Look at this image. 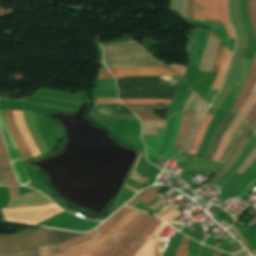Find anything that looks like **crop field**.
Masks as SVG:
<instances>
[{"label":"crop field","mask_w":256,"mask_h":256,"mask_svg":"<svg viewBox=\"0 0 256 256\" xmlns=\"http://www.w3.org/2000/svg\"><path fill=\"white\" fill-rule=\"evenodd\" d=\"M82 234L47 230L0 236V256H37L36 248L56 244Z\"/></svg>","instance_id":"1"},{"label":"crop field","mask_w":256,"mask_h":256,"mask_svg":"<svg viewBox=\"0 0 256 256\" xmlns=\"http://www.w3.org/2000/svg\"><path fill=\"white\" fill-rule=\"evenodd\" d=\"M101 47L104 51V63L107 68L163 64L151 57L144 48L134 41Z\"/></svg>","instance_id":"2"},{"label":"crop field","mask_w":256,"mask_h":256,"mask_svg":"<svg viewBox=\"0 0 256 256\" xmlns=\"http://www.w3.org/2000/svg\"><path fill=\"white\" fill-rule=\"evenodd\" d=\"M182 114L176 112L175 115L169 116L164 131L157 130L158 137L142 136V140L146 145V156L153 155L157 158L169 160L176 153L173 146Z\"/></svg>","instance_id":"3"},{"label":"crop field","mask_w":256,"mask_h":256,"mask_svg":"<svg viewBox=\"0 0 256 256\" xmlns=\"http://www.w3.org/2000/svg\"><path fill=\"white\" fill-rule=\"evenodd\" d=\"M192 10L193 0H186V18L192 19ZM203 17L224 22L223 24L204 18L208 22L223 24L228 36L235 38L227 17L226 0H194L193 19L203 20Z\"/></svg>","instance_id":"4"},{"label":"crop field","mask_w":256,"mask_h":256,"mask_svg":"<svg viewBox=\"0 0 256 256\" xmlns=\"http://www.w3.org/2000/svg\"><path fill=\"white\" fill-rule=\"evenodd\" d=\"M5 220L37 224L63 210L59 209L55 203L45 206L1 209Z\"/></svg>","instance_id":"5"},{"label":"crop field","mask_w":256,"mask_h":256,"mask_svg":"<svg viewBox=\"0 0 256 256\" xmlns=\"http://www.w3.org/2000/svg\"><path fill=\"white\" fill-rule=\"evenodd\" d=\"M140 211L132 209L129 211L122 219H120L108 232H106L104 235H101L99 238H97L94 241L88 242L84 245L77 246L73 249L68 250L69 256H81L84 255L109 238H111L113 235H115L119 230H121L126 224H128L136 215H138Z\"/></svg>","instance_id":"6"},{"label":"crop field","mask_w":256,"mask_h":256,"mask_svg":"<svg viewBox=\"0 0 256 256\" xmlns=\"http://www.w3.org/2000/svg\"><path fill=\"white\" fill-rule=\"evenodd\" d=\"M109 70L115 76V78L124 77V76H147V75L179 76L177 73H175L166 65L140 67V68H131V67L113 68Z\"/></svg>","instance_id":"7"},{"label":"crop field","mask_w":256,"mask_h":256,"mask_svg":"<svg viewBox=\"0 0 256 256\" xmlns=\"http://www.w3.org/2000/svg\"><path fill=\"white\" fill-rule=\"evenodd\" d=\"M148 214L141 212L135 219H133L127 226H125L116 236L109 239L90 253L84 256H101L112 246L122 240L142 219H144Z\"/></svg>","instance_id":"8"},{"label":"crop field","mask_w":256,"mask_h":256,"mask_svg":"<svg viewBox=\"0 0 256 256\" xmlns=\"http://www.w3.org/2000/svg\"><path fill=\"white\" fill-rule=\"evenodd\" d=\"M158 218H155L152 223L135 239L133 240L125 249L119 252L116 256H134L144 242L148 239L150 234L155 230V228L161 223Z\"/></svg>","instance_id":"9"},{"label":"crop field","mask_w":256,"mask_h":256,"mask_svg":"<svg viewBox=\"0 0 256 256\" xmlns=\"http://www.w3.org/2000/svg\"><path fill=\"white\" fill-rule=\"evenodd\" d=\"M155 217L148 215L142 220L122 241L116 244L109 252L102 256H115L120 250L128 245L134 238H136L154 219Z\"/></svg>","instance_id":"10"},{"label":"crop field","mask_w":256,"mask_h":256,"mask_svg":"<svg viewBox=\"0 0 256 256\" xmlns=\"http://www.w3.org/2000/svg\"><path fill=\"white\" fill-rule=\"evenodd\" d=\"M256 80V54L252 60L251 69L249 76L247 77L237 99L235 100L234 104L231 107V110L238 113L243 101L247 97L248 93L250 92L254 82Z\"/></svg>","instance_id":"11"},{"label":"crop field","mask_w":256,"mask_h":256,"mask_svg":"<svg viewBox=\"0 0 256 256\" xmlns=\"http://www.w3.org/2000/svg\"><path fill=\"white\" fill-rule=\"evenodd\" d=\"M16 126L32 156L39 155V152L28 132L25 121L20 111H12Z\"/></svg>","instance_id":"12"},{"label":"crop field","mask_w":256,"mask_h":256,"mask_svg":"<svg viewBox=\"0 0 256 256\" xmlns=\"http://www.w3.org/2000/svg\"><path fill=\"white\" fill-rule=\"evenodd\" d=\"M255 146H256V135L254 134V136L252 137L250 142L247 144V146L244 148L243 152L241 153L239 158L236 160L234 165L223 175V177L218 181V183L214 187L219 189L237 171V169L248 157V155L255 148Z\"/></svg>","instance_id":"13"},{"label":"crop field","mask_w":256,"mask_h":256,"mask_svg":"<svg viewBox=\"0 0 256 256\" xmlns=\"http://www.w3.org/2000/svg\"><path fill=\"white\" fill-rule=\"evenodd\" d=\"M235 116L236 115L233 112H229V114L222 120V122L220 123L218 129L216 130V132L210 142V145L207 149L206 155L204 156L205 159L211 160V158L219 144V141L223 135L224 130L227 129V127L230 125V123L235 118Z\"/></svg>","instance_id":"14"},{"label":"crop field","mask_w":256,"mask_h":256,"mask_svg":"<svg viewBox=\"0 0 256 256\" xmlns=\"http://www.w3.org/2000/svg\"><path fill=\"white\" fill-rule=\"evenodd\" d=\"M209 36L219 40L213 33L210 32ZM209 37L208 43L206 45L205 51L203 53L202 61H201V66L199 70H205L209 71L211 70V66L214 60V56L217 50V46L219 41Z\"/></svg>","instance_id":"15"},{"label":"crop field","mask_w":256,"mask_h":256,"mask_svg":"<svg viewBox=\"0 0 256 256\" xmlns=\"http://www.w3.org/2000/svg\"><path fill=\"white\" fill-rule=\"evenodd\" d=\"M253 132L248 128V130L244 133V135L241 138V141L235 150L232 158L230 161L221 169V171L208 183V185L213 186L216 184V182L220 179V177L230 168V166L235 162V160L240 155L241 151L245 147V145L248 143V141L253 136Z\"/></svg>","instance_id":"16"},{"label":"crop field","mask_w":256,"mask_h":256,"mask_svg":"<svg viewBox=\"0 0 256 256\" xmlns=\"http://www.w3.org/2000/svg\"><path fill=\"white\" fill-rule=\"evenodd\" d=\"M4 113H5V118H6V122L8 124L9 130H10L11 135L17 145V148H18L21 158L23 159V158L31 157L22 138L20 137L19 133L17 132V130L15 128L10 110H4Z\"/></svg>","instance_id":"17"},{"label":"crop field","mask_w":256,"mask_h":256,"mask_svg":"<svg viewBox=\"0 0 256 256\" xmlns=\"http://www.w3.org/2000/svg\"><path fill=\"white\" fill-rule=\"evenodd\" d=\"M0 128H1V132H2L3 138L5 140L7 150H8L11 160L13 161V160L20 159L18 152H17V148L13 142V139L10 135L7 124L5 122L3 111H0Z\"/></svg>","instance_id":"18"},{"label":"crop field","mask_w":256,"mask_h":256,"mask_svg":"<svg viewBox=\"0 0 256 256\" xmlns=\"http://www.w3.org/2000/svg\"><path fill=\"white\" fill-rule=\"evenodd\" d=\"M167 225L162 222L135 256H151L158 237Z\"/></svg>","instance_id":"19"},{"label":"crop field","mask_w":256,"mask_h":256,"mask_svg":"<svg viewBox=\"0 0 256 256\" xmlns=\"http://www.w3.org/2000/svg\"><path fill=\"white\" fill-rule=\"evenodd\" d=\"M242 122L237 118L233 120V122L231 123V125L229 126V128L227 129V131L225 132L221 142H220V146L213 158V161H217L219 162L226 146L228 145L234 131L238 128V126L241 124Z\"/></svg>","instance_id":"20"},{"label":"crop field","mask_w":256,"mask_h":256,"mask_svg":"<svg viewBox=\"0 0 256 256\" xmlns=\"http://www.w3.org/2000/svg\"><path fill=\"white\" fill-rule=\"evenodd\" d=\"M0 164L4 170L7 185H17L14 173L9 165L8 158L3 146V141L0 133Z\"/></svg>","instance_id":"21"},{"label":"crop field","mask_w":256,"mask_h":256,"mask_svg":"<svg viewBox=\"0 0 256 256\" xmlns=\"http://www.w3.org/2000/svg\"><path fill=\"white\" fill-rule=\"evenodd\" d=\"M95 236H96V230L93 232H90L88 234H85L83 236L77 237L75 239L56 244V247H57L59 253H61V252L66 251L69 248L75 247L81 243L92 240L95 238Z\"/></svg>","instance_id":"22"},{"label":"crop field","mask_w":256,"mask_h":256,"mask_svg":"<svg viewBox=\"0 0 256 256\" xmlns=\"http://www.w3.org/2000/svg\"><path fill=\"white\" fill-rule=\"evenodd\" d=\"M209 105H207L205 102L202 101L197 113L195 114V116L193 117L189 127H188V130H187V134H186V138H185V142H184V145L183 147H185L191 140L196 128H197V125L202 117V115L204 114V112L206 111V109L208 108Z\"/></svg>","instance_id":"23"},{"label":"crop field","mask_w":256,"mask_h":256,"mask_svg":"<svg viewBox=\"0 0 256 256\" xmlns=\"http://www.w3.org/2000/svg\"><path fill=\"white\" fill-rule=\"evenodd\" d=\"M230 56H231V53L230 51L224 47V51H223V54H222V61H221V67H220V70L219 72L217 73V76L211 86L212 89H219L221 84H222V81H223V77H224V74H225V71L229 65V61H230Z\"/></svg>","instance_id":"24"},{"label":"crop field","mask_w":256,"mask_h":256,"mask_svg":"<svg viewBox=\"0 0 256 256\" xmlns=\"http://www.w3.org/2000/svg\"><path fill=\"white\" fill-rule=\"evenodd\" d=\"M247 127L242 123L239 128L235 131L234 136L230 142V144L228 145L225 153L223 154L220 162L222 163H227L228 159L230 158L234 148L236 147L242 133L245 131Z\"/></svg>","instance_id":"25"},{"label":"crop field","mask_w":256,"mask_h":256,"mask_svg":"<svg viewBox=\"0 0 256 256\" xmlns=\"http://www.w3.org/2000/svg\"><path fill=\"white\" fill-rule=\"evenodd\" d=\"M214 117V116H213ZM212 116L211 115H205L195 137H194V140L192 142V145H191V148H190V151L189 153L191 154H195V152L197 151L200 143H201V140H202V137H203V134H204V131L209 123V121L211 120ZM211 122V121H210Z\"/></svg>","instance_id":"26"},{"label":"crop field","mask_w":256,"mask_h":256,"mask_svg":"<svg viewBox=\"0 0 256 256\" xmlns=\"http://www.w3.org/2000/svg\"><path fill=\"white\" fill-rule=\"evenodd\" d=\"M131 208L123 207L120 209L115 215H113L106 222L97 227L98 236L108 230L111 226H113L120 218H122Z\"/></svg>","instance_id":"27"},{"label":"crop field","mask_w":256,"mask_h":256,"mask_svg":"<svg viewBox=\"0 0 256 256\" xmlns=\"http://www.w3.org/2000/svg\"><path fill=\"white\" fill-rule=\"evenodd\" d=\"M255 102H256V83H255L253 89L251 90L250 94L246 98L245 102L243 103V105L237 115L241 118L242 121L247 116V114L249 113V111L251 110V108L253 107Z\"/></svg>","instance_id":"28"},{"label":"crop field","mask_w":256,"mask_h":256,"mask_svg":"<svg viewBox=\"0 0 256 256\" xmlns=\"http://www.w3.org/2000/svg\"><path fill=\"white\" fill-rule=\"evenodd\" d=\"M142 122V135H153L157 136L156 128L163 129L166 122L161 121H146L140 120Z\"/></svg>","instance_id":"29"},{"label":"crop field","mask_w":256,"mask_h":256,"mask_svg":"<svg viewBox=\"0 0 256 256\" xmlns=\"http://www.w3.org/2000/svg\"><path fill=\"white\" fill-rule=\"evenodd\" d=\"M193 115L194 114H192V113H188V115L186 117L182 118L180 130H179V134H178L175 146L180 147V148L182 147L187 127H188Z\"/></svg>","instance_id":"30"},{"label":"crop field","mask_w":256,"mask_h":256,"mask_svg":"<svg viewBox=\"0 0 256 256\" xmlns=\"http://www.w3.org/2000/svg\"><path fill=\"white\" fill-rule=\"evenodd\" d=\"M12 166L19 183L25 185L30 182L26 174V171L24 169V165L22 161L12 162Z\"/></svg>","instance_id":"31"},{"label":"crop field","mask_w":256,"mask_h":256,"mask_svg":"<svg viewBox=\"0 0 256 256\" xmlns=\"http://www.w3.org/2000/svg\"><path fill=\"white\" fill-rule=\"evenodd\" d=\"M201 101L202 100H201L200 96L192 92V94L186 101V103L182 109V112L188 111V112L195 113L197 108L199 107Z\"/></svg>","instance_id":"32"},{"label":"crop field","mask_w":256,"mask_h":256,"mask_svg":"<svg viewBox=\"0 0 256 256\" xmlns=\"http://www.w3.org/2000/svg\"><path fill=\"white\" fill-rule=\"evenodd\" d=\"M124 104H167L170 101L156 99H121Z\"/></svg>","instance_id":"33"},{"label":"crop field","mask_w":256,"mask_h":256,"mask_svg":"<svg viewBox=\"0 0 256 256\" xmlns=\"http://www.w3.org/2000/svg\"><path fill=\"white\" fill-rule=\"evenodd\" d=\"M249 20L256 35V0H248Z\"/></svg>","instance_id":"34"},{"label":"crop field","mask_w":256,"mask_h":256,"mask_svg":"<svg viewBox=\"0 0 256 256\" xmlns=\"http://www.w3.org/2000/svg\"><path fill=\"white\" fill-rule=\"evenodd\" d=\"M160 191H161L160 189L151 188L146 193H144L143 195L137 197L136 199H138L139 201L144 203L145 201H147V200L151 199L152 197H154Z\"/></svg>","instance_id":"35"},{"label":"crop field","mask_w":256,"mask_h":256,"mask_svg":"<svg viewBox=\"0 0 256 256\" xmlns=\"http://www.w3.org/2000/svg\"><path fill=\"white\" fill-rule=\"evenodd\" d=\"M37 251L39 256H48L58 253L54 245L38 248Z\"/></svg>","instance_id":"36"},{"label":"crop field","mask_w":256,"mask_h":256,"mask_svg":"<svg viewBox=\"0 0 256 256\" xmlns=\"http://www.w3.org/2000/svg\"><path fill=\"white\" fill-rule=\"evenodd\" d=\"M189 240H190V238H188L187 236L184 235L175 256H186L188 251H186L185 248H186Z\"/></svg>","instance_id":"37"},{"label":"crop field","mask_w":256,"mask_h":256,"mask_svg":"<svg viewBox=\"0 0 256 256\" xmlns=\"http://www.w3.org/2000/svg\"><path fill=\"white\" fill-rule=\"evenodd\" d=\"M224 46L219 45L218 46V50H217V54H216V58L214 60L213 66H212V70L214 72H217L219 67H220V60H221V54H222V50H223Z\"/></svg>","instance_id":"38"},{"label":"crop field","mask_w":256,"mask_h":256,"mask_svg":"<svg viewBox=\"0 0 256 256\" xmlns=\"http://www.w3.org/2000/svg\"><path fill=\"white\" fill-rule=\"evenodd\" d=\"M256 158V148L252 151L249 157L245 160V162L241 165L237 172L243 173L245 168Z\"/></svg>","instance_id":"39"},{"label":"crop field","mask_w":256,"mask_h":256,"mask_svg":"<svg viewBox=\"0 0 256 256\" xmlns=\"http://www.w3.org/2000/svg\"><path fill=\"white\" fill-rule=\"evenodd\" d=\"M256 187V181L253 180L251 183L248 184V186L242 191V193L239 195V197L243 198L250 193L254 188Z\"/></svg>","instance_id":"40"},{"label":"crop field","mask_w":256,"mask_h":256,"mask_svg":"<svg viewBox=\"0 0 256 256\" xmlns=\"http://www.w3.org/2000/svg\"><path fill=\"white\" fill-rule=\"evenodd\" d=\"M255 117H256V104L243 122L248 126L254 120Z\"/></svg>","instance_id":"41"},{"label":"crop field","mask_w":256,"mask_h":256,"mask_svg":"<svg viewBox=\"0 0 256 256\" xmlns=\"http://www.w3.org/2000/svg\"><path fill=\"white\" fill-rule=\"evenodd\" d=\"M139 119H146V120H162V121H167V119H161L155 114H149V115H137Z\"/></svg>","instance_id":"42"},{"label":"crop field","mask_w":256,"mask_h":256,"mask_svg":"<svg viewBox=\"0 0 256 256\" xmlns=\"http://www.w3.org/2000/svg\"><path fill=\"white\" fill-rule=\"evenodd\" d=\"M177 215H179V213L175 212V211H170L168 214H166L164 217H162L161 219H163L165 222H169L171 221L173 218H175Z\"/></svg>","instance_id":"43"},{"label":"crop field","mask_w":256,"mask_h":256,"mask_svg":"<svg viewBox=\"0 0 256 256\" xmlns=\"http://www.w3.org/2000/svg\"><path fill=\"white\" fill-rule=\"evenodd\" d=\"M9 197L10 199L19 197L18 188L17 187H8Z\"/></svg>","instance_id":"44"},{"label":"crop field","mask_w":256,"mask_h":256,"mask_svg":"<svg viewBox=\"0 0 256 256\" xmlns=\"http://www.w3.org/2000/svg\"><path fill=\"white\" fill-rule=\"evenodd\" d=\"M162 240H158L152 256H162L163 250L158 249Z\"/></svg>","instance_id":"45"},{"label":"crop field","mask_w":256,"mask_h":256,"mask_svg":"<svg viewBox=\"0 0 256 256\" xmlns=\"http://www.w3.org/2000/svg\"><path fill=\"white\" fill-rule=\"evenodd\" d=\"M0 185H6L3 171L0 166Z\"/></svg>","instance_id":"46"},{"label":"crop field","mask_w":256,"mask_h":256,"mask_svg":"<svg viewBox=\"0 0 256 256\" xmlns=\"http://www.w3.org/2000/svg\"><path fill=\"white\" fill-rule=\"evenodd\" d=\"M114 78L110 73H100V79Z\"/></svg>","instance_id":"47"},{"label":"crop field","mask_w":256,"mask_h":256,"mask_svg":"<svg viewBox=\"0 0 256 256\" xmlns=\"http://www.w3.org/2000/svg\"><path fill=\"white\" fill-rule=\"evenodd\" d=\"M254 133L256 132V118L255 120L248 126Z\"/></svg>","instance_id":"48"},{"label":"crop field","mask_w":256,"mask_h":256,"mask_svg":"<svg viewBox=\"0 0 256 256\" xmlns=\"http://www.w3.org/2000/svg\"><path fill=\"white\" fill-rule=\"evenodd\" d=\"M163 203H165V200L162 199L161 201H159V202L155 203L154 205L150 206L149 208L154 209V208L160 206Z\"/></svg>","instance_id":"49"},{"label":"crop field","mask_w":256,"mask_h":256,"mask_svg":"<svg viewBox=\"0 0 256 256\" xmlns=\"http://www.w3.org/2000/svg\"><path fill=\"white\" fill-rule=\"evenodd\" d=\"M247 214H249V215L255 217V216H256V210H254V209L251 208V209L247 212Z\"/></svg>","instance_id":"50"},{"label":"crop field","mask_w":256,"mask_h":256,"mask_svg":"<svg viewBox=\"0 0 256 256\" xmlns=\"http://www.w3.org/2000/svg\"><path fill=\"white\" fill-rule=\"evenodd\" d=\"M155 198H157V197L155 196V197L152 198L150 201H152V200L155 199ZM157 200H159V198L153 200L152 202L148 201V202L144 203V205L150 202L149 204L146 205V206L148 207V206H150L151 204H153L154 202H156Z\"/></svg>","instance_id":"51"},{"label":"crop field","mask_w":256,"mask_h":256,"mask_svg":"<svg viewBox=\"0 0 256 256\" xmlns=\"http://www.w3.org/2000/svg\"><path fill=\"white\" fill-rule=\"evenodd\" d=\"M173 207H168V208H166L164 211H162L160 214H158L157 216H162L163 214H165L166 212H168L169 210H171Z\"/></svg>","instance_id":"52"},{"label":"crop field","mask_w":256,"mask_h":256,"mask_svg":"<svg viewBox=\"0 0 256 256\" xmlns=\"http://www.w3.org/2000/svg\"><path fill=\"white\" fill-rule=\"evenodd\" d=\"M219 254H220V251L216 250L214 256H219Z\"/></svg>","instance_id":"53"},{"label":"crop field","mask_w":256,"mask_h":256,"mask_svg":"<svg viewBox=\"0 0 256 256\" xmlns=\"http://www.w3.org/2000/svg\"><path fill=\"white\" fill-rule=\"evenodd\" d=\"M191 145V144H190ZM190 145L184 150L185 152H188Z\"/></svg>","instance_id":"54"},{"label":"crop field","mask_w":256,"mask_h":256,"mask_svg":"<svg viewBox=\"0 0 256 256\" xmlns=\"http://www.w3.org/2000/svg\"><path fill=\"white\" fill-rule=\"evenodd\" d=\"M54 256H66V254H65V253H63V254L54 255Z\"/></svg>","instance_id":"55"},{"label":"crop field","mask_w":256,"mask_h":256,"mask_svg":"<svg viewBox=\"0 0 256 256\" xmlns=\"http://www.w3.org/2000/svg\"><path fill=\"white\" fill-rule=\"evenodd\" d=\"M256 134V133H255Z\"/></svg>","instance_id":"56"}]
</instances>
